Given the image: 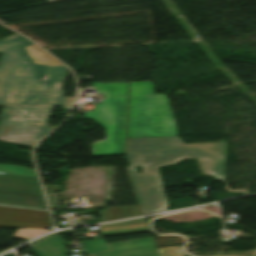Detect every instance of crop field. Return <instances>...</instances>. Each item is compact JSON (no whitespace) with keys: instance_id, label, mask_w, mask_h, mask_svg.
Masks as SVG:
<instances>
[{"instance_id":"crop-field-1","label":"crop field","mask_w":256,"mask_h":256,"mask_svg":"<svg viewBox=\"0 0 256 256\" xmlns=\"http://www.w3.org/2000/svg\"><path fill=\"white\" fill-rule=\"evenodd\" d=\"M226 142L185 145L178 137L127 140L126 168L140 214L166 210L168 204L158 168L184 158H197L203 175L225 181ZM183 161V160H182ZM142 166L143 173L134 167Z\"/></svg>"},{"instance_id":"crop-field-2","label":"crop field","mask_w":256,"mask_h":256,"mask_svg":"<svg viewBox=\"0 0 256 256\" xmlns=\"http://www.w3.org/2000/svg\"><path fill=\"white\" fill-rule=\"evenodd\" d=\"M33 44L18 34L0 40V104L71 106L62 91L69 71Z\"/></svg>"},{"instance_id":"crop-field-3","label":"crop field","mask_w":256,"mask_h":256,"mask_svg":"<svg viewBox=\"0 0 256 256\" xmlns=\"http://www.w3.org/2000/svg\"><path fill=\"white\" fill-rule=\"evenodd\" d=\"M178 135L165 94L152 82L129 83L127 138Z\"/></svg>"},{"instance_id":"crop-field-4","label":"crop field","mask_w":256,"mask_h":256,"mask_svg":"<svg viewBox=\"0 0 256 256\" xmlns=\"http://www.w3.org/2000/svg\"><path fill=\"white\" fill-rule=\"evenodd\" d=\"M94 88L106 96L93 112L83 114L107 132V139L92 144L93 157L123 155L125 153L128 83H95Z\"/></svg>"},{"instance_id":"crop-field-5","label":"crop field","mask_w":256,"mask_h":256,"mask_svg":"<svg viewBox=\"0 0 256 256\" xmlns=\"http://www.w3.org/2000/svg\"><path fill=\"white\" fill-rule=\"evenodd\" d=\"M53 107H3L0 141L33 147L55 127H46Z\"/></svg>"},{"instance_id":"crop-field-6","label":"crop field","mask_w":256,"mask_h":256,"mask_svg":"<svg viewBox=\"0 0 256 256\" xmlns=\"http://www.w3.org/2000/svg\"><path fill=\"white\" fill-rule=\"evenodd\" d=\"M0 204L47 210L37 178L0 174Z\"/></svg>"},{"instance_id":"crop-field-7","label":"crop field","mask_w":256,"mask_h":256,"mask_svg":"<svg viewBox=\"0 0 256 256\" xmlns=\"http://www.w3.org/2000/svg\"><path fill=\"white\" fill-rule=\"evenodd\" d=\"M83 242L90 256H158L152 237L109 245L103 239Z\"/></svg>"},{"instance_id":"crop-field-8","label":"crop field","mask_w":256,"mask_h":256,"mask_svg":"<svg viewBox=\"0 0 256 256\" xmlns=\"http://www.w3.org/2000/svg\"><path fill=\"white\" fill-rule=\"evenodd\" d=\"M38 256H65L67 254L60 236L51 234L32 242Z\"/></svg>"},{"instance_id":"crop-field-9","label":"crop field","mask_w":256,"mask_h":256,"mask_svg":"<svg viewBox=\"0 0 256 256\" xmlns=\"http://www.w3.org/2000/svg\"><path fill=\"white\" fill-rule=\"evenodd\" d=\"M99 213L103 221L140 215L137 206L108 207Z\"/></svg>"},{"instance_id":"crop-field-10","label":"crop field","mask_w":256,"mask_h":256,"mask_svg":"<svg viewBox=\"0 0 256 256\" xmlns=\"http://www.w3.org/2000/svg\"><path fill=\"white\" fill-rule=\"evenodd\" d=\"M0 173L37 177L36 172L34 170L28 169L27 167H21V166H11V165L0 164Z\"/></svg>"},{"instance_id":"crop-field-11","label":"crop field","mask_w":256,"mask_h":256,"mask_svg":"<svg viewBox=\"0 0 256 256\" xmlns=\"http://www.w3.org/2000/svg\"><path fill=\"white\" fill-rule=\"evenodd\" d=\"M46 232H49V231L48 230H40V229L24 228V229H19L15 235L31 239L37 235H40V234H43Z\"/></svg>"},{"instance_id":"crop-field-12","label":"crop field","mask_w":256,"mask_h":256,"mask_svg":"<svg viewBox=\"0 0 256 256\" xmlns=\"http://www.w3.org/2000/svg\"><path fill=\"white\" fill-rule=\"evenodd\" d=\"M161 256H183L179 246L158 248Z\"/></svg>"},{"instance_id":"crop-field-13","label":"crop field","mask_w":256,"mask_h":256,"mask_svg":"<svg viewBox=\"0 0 256 256\" xmlns=\"http://www.w3.org/2000/svg\"><path fill=\"white\" fill-rule=\"evenodd\" d=\"M46 195H47L50 207L51 208H58L59 204H58L56 193H51V194H46Z\"/></svg>"},{"instance_id":"crop-field-14","label":"crop field","mask_w":256,"mask_h":256,"mask_svg":"<svg viewBox=\"0 0 256 256\" xmlns=\"http://www.w3.org/2000/svg\"><path fill=\"white\" fill-rule=\"evenodd\" d=\"M46 193L61 191L60 185L44 186Z\"/></svg>"}]
</instances>
